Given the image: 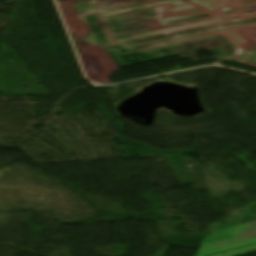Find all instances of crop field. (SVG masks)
Wrapping results in <instances>:
<instances>
[{
  "mask_svg": "<svg viewBox=\"0 0 256 256\" xmlns=\"http://www.w3.org/2000/svg\"><path fill=\"white\" fill-rule=\"evenodd\" d=\"M256 243V222L215 232L206 238L197 256H206Z\"/></svg>",
  "mask_w": 256,
  "mask_h": 256,
  "instance_id": "crop-field-1",
  "label": "crop field"
},
{
  "mask_svg": "<svg viewBox=\"0 0 256 256\" xmlns=\"http://www.w3.org/2000/svg\"><path fill=\"white\" fill-rule=\"evenodd\" d=\"M255 251H256V245L248 247V248L232 251L229 253L217 255V256H241V255L248 254V253L255 252Z\"/></svg>",
  "mask_w": 256,
  "mask_h": 256,
  "instance_id": "crop-field-2",
  "label": "crop field"
}]
</instances>
